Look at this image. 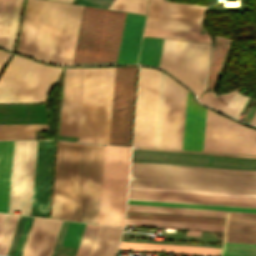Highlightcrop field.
Instances as JSON below:
<instances>
[{
	"mask_svg": "<svg viewBox=\"0 0 256 256\" xmlns=\"http://www.w3.org/2000/svg\"><path fill=\"white\" fill-rule=\"evenodd\" d=\"M103 150L59 141L51 217L97 223Z\"/></svg>",
	"mask_w": 256,
	"mask_h": 256,
	"instance_id": "crop-field-1",
	"label": "crop field"
},
{
	"mask_svg": "<svg viewBox=\"0 0 256 256\" xmlns=\"http://www.w3.org/2000/svg\"><path fill=\"white\" fill-rule=\"evenodd\" d=\"M83 6L27 0L17 51L71 64Z\"/></svg>",
	"mask_w": 256,
	"mask_h": 256,
	"instance_id": "crop-field-2",
	"label": "crop field"
},
{
	"mask_svg": "<svg viewBox=\"0 0 256 256\" xmlns=\"http://www.w3.org/2000/svg\"><path fill=\"white\" fill-rule=\"evenodd\" d=\"M129 185L256 194V171L131 162Z\"/></svg>",
	"mask_w": 256,
	"mask_h": 256,
	"instance_id": "crop-field-3",
	"label": "crop field"
},
{
	"mask_svg": "<svg viewBox=\"0 0 256 256\" xmlns=\"http://www.w3.org/2000/svg\"><path fill=\"white\" fill-rule=\"evenodd\" d=\"M124 15L85 6L74 64H115Z\"/></svg>",
	"mask_w": 256,
	"mask_h": 256,
	"instance_id": "crop-field-4",
	"label": "crop field"
},
{
	"mask_svg": "<svg viewBox=\"0 0 256 256\" xmlns=\"http://www.w3.org/2000/svg\"><path fill=\"white\" fill-rule=\"evenodd\" d=\"M115 68H87L114 73ZM114 74H84L83 92L111 104ZM83 93L78 141L108 144L111 105Z\"/></svg>",
	"mask_w": 256,
	"mask_h": 256,
	"instance_id": "crop-field-5",
	"label": "crop field"
},
{
	"mask_svg": "<svg viewBox=\"0 0 256 256\" xmlns=\"http://www.w3.org/2000/svg\"><path fill=\"white\" fill-rule=\"evenodd\" d=\"M60 69L13 55L0 78V88L18 101H43ZM2 90L0 103L17 102Z\"/></svg>",
	"mask_w": 256,
	"mask_h": 256,
	"instance_id": "crop-field-6",
	"label": "crop field"
},
{
	"mask_svg": "<svg viewBox=\"0 0 256 256\" xmlns=\"http://www.w3.org/2000/svg\"><path fill=\"white\" fill-rule=\"evenodd\" d=\"M130 148L105 145L98 223L123 226Z\"/></svg>",
	"mask_w": 256,
	"mask_h": 256,
	"instance_id": "crop-field-7",
	"label": "crop field"
},
{
	"mask_svg": "<svg viewBox=\"0 0 256 256\" xmlns=\"http://www.w3.org/2000/svg\"><path fill=\"white\" fill-rule=\"evenodd\" d=\"M210 52L209 44L164 39L158 67L166 69L199 94Z\"/></svg>",
	"mask_w": 256,
	"mask_h": 256,
	"instance_id": "crop-field-8",
	"label": "crop field"
},
{
	"mask_svg": "<svg viewBox=\"0 0 256 256\" xmlns=\"http://www.w3.org/2000/svg\"><path fill=\"white\" fill-rule=\"evenodd\" d=\"M203 151L256 155V130L207 109Z\"/></svg>",
	"mask_w": 256,
	"mask_h": 256,
	"instance_id": "crop-field-9",
	"label": "crop field"
},
{
	"mask_svg": "<svg viewBox=\"0 0 256 256\" xmlns=\"http://www.w3.org/2000/svg\"><path fill=\"white\" fill-rule=\"evenodd\" d=\"M136 71L116 68L109 144L129 146Z\"/></svg>",
	"mask_w": 256,
	"mask_h": 256,
	"instance_id": "crop-field-10",
	"label": "crop field"
},
{
	"mask_svg": "<svg viewBox=\"0 0 256 256\" xmlns=\"http://www.w3.org/2000/svg\"><path fill=\"white\" fill-rule=\"evenodd\" d=\"M37 141H15L9 209L30 215Z\"/></svg>",
	"mask_w": 256,
	"mask_h": 256,
	"instance_id": "crop-field-11",
	"label": "crop field"
},
{
	"mask_svg": "<svg viewBox=\"0 0 256 256\" xmlns=\"http://www.w3.org/2000/svg\"><path fill=\"white\" fill-rule=\"evenodd\" d=\"M132 161L256 170V158L135 149Z\"/></svg>",
	"mask_w": 256,
	"mask_h": 256,
	"instance_id": "crop-field-12",
	"label": "crop field"
},
{
	"mask_svg": "<svg viewBox=\"0 0 256 256\" xmlns=\"http://www.w3.org/2000/svg\"><path fill=\"white\" fill-rule=\"evenodd\" d=\"M151 69L140 68L133 146L144 147ZM160 72L152 69L145 147H153Z\"/></svg>",
	"mask_w": 256,
	"mask_h": 256,
	"instance_id": "crop-field-13",
	"label": "crop field"
},
{
	"mask_svg": "<svg viewBox=\"0 0 256 256\" xmlns=\"http://www.w3.org/2000/svg\"><path fill=\"white\" fill-rule=\"evenodd\" d=\"M129 203L256 212V201L130 192Z\"/></svg>",
	"mask_w": 256,
	"mask_h": 256,
	"instance_id": "crop-field-14",
	"label": "crop field"
},
{
	"mask_svg": "<svg viewBox=\"0 0 256 256\" xmlns=\"http://www.w3.org/2000/svg\"><path fill=\"white\" fill-rule=\"evenodd\" d=\"M55 141H38L31 215L48 217Z\"/></svg>",
	"mask_w": 256,
	"mask_h": 256,
	"instance_id": "crop-field-15",
	"label": "crop field"
},
{
	"mask_svg": "<svg viewBox=\"0 0 256 256\" xmlns=\"http://www.w3.org/2000/svg\"><path fill=\"white\" fill-rule=\"evenodd\" d=\"M172 79L167 77L160 148H165ZM182 86L173 81L166 149H176ZM187 90L183 88L177 149H181Z\"/></svg>",
	"mask_w": 256,
	"mask_h": 256,
	"instance_id": "crop-field-16",
	"label": "crop field"
},
{
	"mask_svg": "<svg viewBox=\"0 0 256 256\" xmlns=\"http://www.w3.org/2000/svg\"><path fill=\"white\" fill-rule=\"evenodd\" d=\"M84 68H66L59 135L78 137Z\"/></svg>",
	"mask_w": 256,
	"mask_h": 256,
	"instance_id": "crop-field-17",
	"label": "crop field"
},
{
	"mask_svg": "<svg viewBox=\"0 0 256 256\" xmlns=\"http://www.w3.org/2000/svg\"><path fill=\"white\" fill-rule=\"evenodd\" d=\"M168 3L149 1L148 18L145 27L164 29ZM206 6L188 4L182 19L180 31L199 33Z\"/></svg>",
	"mask_w": 256,
	"mask_h": 256,
	"instance_id": "crop-field-18",
	"label": "crop field"
},
{
	"mask_svg": "<svg viewBox=\"0 0 256 256\" xmlns=\"http://www.w3.org/2000/svg\"><path fill=\"white\" fill-rule=\"evenodd\" d=\"M61 223L35 219L22 256H51Z\"/></svg>",
	"mask_w": 256,
	"mask_h": 256,
	"instance_id": "crop-field-19",
	"label": "crop field"
},
{
	"mask_svg": "<svg viewBox=\"0 0 256 256\" xmlns=\"http://www.w3.org/2000/svg\"><path fill=\"white\" fill-rule=\"evenodd\" d=\"M145 16L127 13L117 64L136 63Z\"/></svg>",
	"mask_w": 256,
	"mask_h": 256,
	"instance_id": "crop-field-20",
	"label": "crop field"
},
{
	"mask_svg": "<svg viewBox=\"0 0 256 256\" xmlns=\"http://www.w3.org/2000/svg\"><path fill=\"white\" fill-rule=\"evenodd\" d=\"M224 241L256 243V214L227 212Z\"/></svg>",
	"mask_w": 256,
	"mask_h": 256,
	"instance_id": "crop-field-21",
	"label": "crop field"
},
{
	"mask_svg": "<svg viewBox=\"0 0 256 256\" xmlns=\"http://www.w3.org/2000/svg\"><path fill=\"white\" fill-rule=\"evenodd\" d=\"M202 112L188 92L182 149L199 151Z\"/></svg>",
	"mask_w": 256,
	"mask_h": 256,
	"instance_id": "crop-field-22",
	"label": "crop field"
},
{
	"mask_svg": "<svg viewBox=\"0 0 256 256\" xmlns=\"http://www.w3.org/2000/svg\"><path fill=\"white\" fill-rule=\"evenodd\" d=\"M119 249L219 256L221 248L121 241Z\"/></svg>",
	"mask_w": 256,
	"mask_h": 256,
	"instance_id": "crop-field-23",
	"label": "crop field"
},
{
	"mask_svg": "<svg viewBox=\"0 0 256 256\" xmlns=\"http://www.w3.org/2000/svg\"><path fill=\"white\" fill-rule=\"evenodd\" d=\"M14 141H0V211L7 212Z\"/></svg>",
	"mask_w": 256,
	"mask_h": 256,
	"instance_id": "crop-field-24",
	"label": "crop field"
},
{
	"mask_svg": "<svg viewBox=\"0 0 256 256\" xmlns=\"http://www.w3.org/2000/svg\"><path fill=\"white\" fill-rule=\"evenodd\" d=\"M123 229L100 226L90 256H114Z\"/></svg>",
	"mask_w": 256,
	"mask_h": 256,
	"instance_id": "crop-field-25",
	"label": "crop field"
},
{
	"mask_svg": "<svg viewBox=\"0 0 256 256\" xmlns=\"http://www.w3.org/2000/svg\"><path fill=\"white\" fill-rule=\"evenodd\" d=\"M127 218L215 223V224H223V221H224V218H217V217H203V216H189V215H175V214H161V213H147V212H133V211H127Z\"/></svg>",
	"mask_w": 256,
	"mask_h": 256,
	"instance_id": "crop-field-26",
	"label": "crop field"
},
{
	"mask_svg": "<svg viewBox=\"0 0 256 256\" xmlns=\"http://www.w3.org/2000/svg\"><path fill=\"white\" fill-rule=\"evenodd\" d=\"M228 39L215 37V44L212 52L211 63L205 90H213L216 77L223 65L228 50Z\"/></svg>",
	"mask_w": 256,
	"mask_h": 256,
	"instance_id": "crop-field-27",
	"label": "crop field"
},
{
	"mask_svg": "<svg viewBox=\"0 0 256 256\" xmlns=\"http://www.w3.org/2000/svg\"><path fill=\"white\" fill-rule=\"evenodd\" d=\"M34 131H47V124L0 125V140L34 139Z\"/></svg>",
	"mask_w": 256,
	"mask_h": 256,
	"instance_id": "crop-field-28",
	"label": "crop field"
},
{
	"mask_svg": "<svg viewBox=\"0 0 256 256\" xmlns=\"http://www.w3.org/2000/svg\"><path fill=\"white\" fill-rule=\"evenodd\" d=\"M128 210L134 211H148V212H162V213H176V214H190V215H204V216H218L224 217L225 211L218 210H204V209H190V208H176V207H162V206H148V205H134L128 204Z\"/></svg>",
	"mask_w": 256,
	"mask_h": 256,
	"instance_id": "crop-field-29",
	"label": "crop field"
},
{
	"mask_svg": "<svg viewBox=\"0 0 256 256\" xmlns=\"http://www.w3.org/2000/svg\"><path fill=\"white\" fill-rule=\"evenodd\" d=\"M163 39L143 37L138 64L158 65Z\"/></svg>",
	"mask_w": 256,
	"mask_h": 256,
	"instance_id": "crop-field-30",
	"label": "crop field"
},
{
	"mask_svg": "<svg viewBox=\"0 0 256 256\" xmlns=\"http://www.w3.org/2000/svg\"><path fill=\"white\" fill-rule=\"evenodd\" d=\"M33 218L20 216L8 251L9 256H20Z\"/></svg>",
	"mask_w": 256,
	"mask_h": 256,
	"instance_id": "crop-field-31",
	"label": "crop field"
},
{
	"mask_svg": "<svg viewBox=\"0 0 256 256\" xmlns=\"http://www.w3.org/2000/svg\"><path fill=\"white\" fill-rule=\"evenodd\" d=\"M15 0H0V46L6 48Z\"/></svg>",
	"mask_w": 256,
	"mask_h": 256,
	"instance_id": "crop-field-32",
	"label": "crop field"
},
{
	"mask_svg": "<svg viewBox=\"0 0 256 256\" xmlns=\"http://www.w3.org/2000/svg\"><path fill=\"white\" fill-rule=\"evenodd\" d=\"M144 36L210 42L208 35L149 28H145Z\"/></svg>",
	"mask_w": 256,
	"mask_h": 256,
	"instance_id": "crop-field-33",
	"label": "crop field"
},
{
	"mask_svg": "<svg viewBox=\"0 0 256 256\" xmlns=\"http://www.w3.org/2000/svg\"><path fill=\"white\" fill-rule=\"evenodd\" d=\"M222 256H256V244L224 242Z\"/></svg>",
	"mask_w": 256,
	"mask_h": 256,
	"instance_id": "crop-field-34",
	"label": "crop field"
},
{
	"mask_svg": "<svg viewBox=\"0 0 256 256\" xmlns=\"http://www.w3.org/2000/svg\"><path fill=\"white\" fill-rule=\"evenodd\" d=\"M99 226L87 224L76 256H89Z\"/></svg>",
	"mask_w": 256,
	"mask_h": 256,
	"instance_id": "crop-field-35",
	"label": "crop field"
},
{
	"mask_svg": "<svg viewBox=\"0 0 256 256\" xmlns=\"http://www.w3.org/2000/svg\"><path fill=\"white\" fill-rule=\"evenodd\" d=\"M85 225L70 222L62 245L77 248Z\"/></svg>",
	"mask_w": 256,
	"mask_h": 256,
	"instance_id": "crop-field-36",
	"label": "crop field"
},
{
	"mask_svg": "<svg viewBox=\"0 0 256 256\" xmlns=\"http://www.w3.org/2000/svg\"><path fill=\"white\" fill-rule=\"evenodd\" d=\"M146 0H115L110 8L145 14Z\"/></svg>",
	"mask_w": 256,
	"mask_h": 256,
	"instance_id": "crop-field-37",
	"label": "crop field"
},
{
	"mask_svg": "<svg viewBox=\"0 0 256 256\" xmlns=\"http://www.w3.org/2000/svg\"><path fill=\"white\" fill-rule=\"evenodd\" d=\"M165 75L161 73L154 147L159 148Z\"/></svg>",
	"mask_w": 256,
	"mask_h": 256,
	"instance_id": "crop-field-38",
	"label": "crop field"
},
{
	"mask_svg": "<svg viewBox=\"0 0 256 256\" xmlns=\"http://www.w3.org/2000/svg\"><path fill=\"white\" fill-rule=\"evenodd\" d=\"M22 4H23V0H16L11 30H10V35H9V41H8V46H7V48L10 50L14 49V44H15Z\"/></svg>",
	"mask_w": 256,
	"mask_h": 256,
	"instance_id": "crop-field-39",
	"label": "crop field"
},
{
	"mask_svg": "<svg viewBox=\"0 0 256 256\" xmlns=\"http://www.w3.org/2000/svg\"><path fill=\"white\" fill-rule=\"evenodd\" d=\"M247 99V96H243L238 93L234 98L230 100L229 104L224 110V113L231 115L237 119Z\"/></svg>",
	"mask_w": 256,
	"mask_h": 256,
	"instance_id": "crop-field-40",
	"label": "crop field"
},
{
	"mask_svg": "<svg viewBox=\"0 0 256 256\" xmlns=\"http://www.w3.org/2000/svg\"><path fill=\"white\" fill-rule=\"evenodd\" d=\"M19 216L11 215L0 247V254L6 255Z\"/></svg>",
	"mask_w": 256,
	"mask_h": 256,
	"instance_id": "crop-field-41",
	"label": "crop field"
},
{
	"mask_svg": "<svg viewBox=\"0 0 256 256\" xmlns=\"http://www.w3.org/2000/svg\"><path fill=\"white\" fill-rule=\"evenodd\" d=\"M129 191L151 192V193H166V194H180V195H195V196H210V197H224V198H239V199H253V200H256V198H253V197H239V196L209 195V194H195V193H180V192H165V191H151V190H136V189H129Z\"/></svg>",
	"mask_w": 256,
	"mask_h": 256,
	"instance_id": "crop-field-42",
	"label": "crop field"
},
{
	"mask_svg": "<svg viewBox=\"0 0 256 256\" xmlns=\"http://www.w3.org/2000/svg\"><path fill=\"white\" fill-rule=\"evenodd\" d=\"M129 188L151 189V190H166V191H180V192H195V193H210V194H224V195H239V196H254V197H256V195H254V194L209 192V191H195V190H180V189H165V188H151V187H136V186H129Z\"/></svg>",
	"mask_w": 256,
	"mask_h": 256,
	"instance_id": "crop-field-43",
	"label": "crop field"
},
{
	"mask_svg": "<svg viewBox=\"0 0 256 256\" xmlns=\"http://www.w3.org/2000/svg\"><path fill=\"white\" fill-rule=\"evenodd\" d=\"M10 215L2 214L0 218V244Z\"/></svg>",
	"mask_w": 256,
	"mask_h": 256,
	"instance_id": "crop-field-44",
	"label": "crop field"
},
{
	"mask_svg": "<svg viewBox=\"0 0 256 256\" xmlns=\"http://www.w3.org/2000/svg\"><path fill=\"white\" fill-rule=\"evenodd\" d=\"M11 54L6 53L0 50V72L4 68L5 64L7 63L8 59L10 58Z\"/></svg>",
	"mask_w": 256,
	"mask_h": 256,
	"instance_id": "crop-field-45",
	"label": "crop field"
},
{
	"mask_svg": "<svg viewBox=\"0 0 256 256\" xmlns=\"http://www.w3.org/2000/svg\"><path fill=\"white\" fill-rule=\"evenodd\" d=\"M122 240L142 241V242H157V241H143V240H129V239H122ZM157 243H171V242H157ZM171 244L200 245V244H186V243H171ZM200 246H214V245H200ZM214 247H221V246H214Z\"/></svg>",
	"mask_w": 256,
	"mask_h": 256,
	"instance_id": "crop-field-46",
	"label": "crop field"
},
{
	"mask_svg": "<svg viewBox=\"0 0 256 256\" xmlns=\"http://www.w3.org/2000/svg\"><path fill=\"white\" fill-rule=\"evenodd\" d=\"M205 114H206V108H204V112H203V123H202V135H201V146H200V151H202V146H203V135H204V125H205Z\"/></svg>",
	"mask_w": 256,
	"mask_h": 256,
	"instance_id": "crop-field-47",
	"label": "crop field"
},
{
	"mask_svg": "<svg viewBox=\"0 0 256 256\" xmlns=\"http://www.w3.org/2000/svg\"><path fill=\"white\" fill-rule=\"evenodd\" d=\"M214 154H220V153H214ZM221 155H235V154H221ZM236 156H250V155H236ZM251 157H256V156H251Z\"/></svg>",
	"mask_w": 256,
	"mask_h": 256,
	"instance_id": "crop-field-48",
	"label": "crop field"
},
{
	"mask_svg": "<svg viewBox=\"0 0 256 256\" xmlns=\"http://www.w3.org/2000/svg\"><path fill=\"white\" fill-rule=\"evenodd\" d=\"M255 120H256V114L254 115V117H253V119H252V121H251V124H254ZM255 125H256V124H255Z\"/></svg>",
	"mask_w": 256,
	"mask_h": 256,
	"instance_id": "crop-field-49",
	"label": "crop field"
},
{
	"mask_svg": "<svg viewBox=\"0 0 256 256\" xmlns=\"http://www.w3.org/2000/svg\"><path fill=\"white\" fill-rule=\"evenodd\" d=\"M63 1H70V2H73V0H63Z\"/></svg>",
	"mask_w": 256,
	"mask_h": 256,
	"instance_id": "crop-field-50",
	"label": "crop field"
},
{
	"mask_svg": "<svg viewBox=\"0 0 256 256\" xmlns=\"http://www.w3.org/2000/svg\"><path fill=\"white\" fill-rule=\"evenodd\" d=\"M1 215V214H0Z\"/></svg>",
	"mask_w": 256,
	"mask_h": 256,
	"instance_id": "crop-field-51",
	"label": "crop field"
}]
</instances>
